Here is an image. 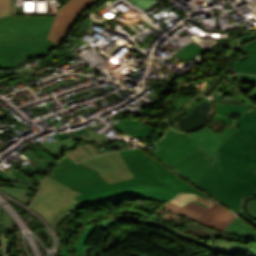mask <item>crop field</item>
<instances>
[{
  "instance_id": "obj_24",
  "label": "crop field",
  "mask_w": 256,
  "mask_h": 256,
  "mask_svg": "<svg viewBox=\"0 0 256 256\" xmlns=\"http://www.w3.org/2000/svg\"><path fill=\"white\" fill-rule=\"evenodd\" d=\"M66 154L68 156H70L76 162L83 158L91 156L81 145L78 146V148H76L70 152H66Z\"/></svg>"
},
{
  "instance_id": "obj_14",
  "label": "crop field",
  "mask_w": 256,
  "mask_h": 256,
  "mask_svg": "<svg viewBox=\"0 0 256 256\" xmlns=\"http://www.w3.org/2000/svg\"><path fill=\"white\" fill-rule=\"evenodd\" d=\"M237 130L226 128L220 136L217 133L204 129L200 132L188 135L204 152L213 157L215 151L221 147Z\"/></svg>"
},
{
  "instance_id": "obj_7",
  "label": "crop field",
  "mask_w": 256,
  "mask_h": 256,
  "mask_svg": "<svg viewBox=\"0 0 256 256\" xmlns=\"http://www.w3.org/2000/svg\"><path fill=\"white\" fill-rule=\"evenodd\" d=\"M79 164L100 174L108 184L134 178L119 151L107 152L81 161Z\"/></svg>"
},
{
  "instance_id": "obj_21",
  "label": "crop field",
  "mask_w": 256,
  "mask_h": 256,
  "mask_svg": "<svg viewBox=\"0 0 256 256\" xmlns=\"http://www.w3.org/2000/svg\"><path fill=\"white\" fill-rule=\"evenodd\" d=\"M85 225L82 222H78L76 225L72 227L68 235L66 236L62 248V256H70V245H71V240L73 239L75 233L81 229Z\"/></svg>"
},
{
  "instance_id": "obj_8",
  "label": "crop field",
  "mask_w": 256,
  "mask_h": 256,
  "mask_svg": "<svg viewBox=\"0 0 256 256\" xmlns=\"http://www.w3.org/2000/svg\"><path fill=\"white\" fill-rule=\"evenodd\" d=\"M100 0H70L62 6L53 21L47 38L59 47L84 11Z\"/></svg>"
},
{
  "instance_id": "obj_15",
  "label": "crop field",
  "mask_w": 256,
  "mask_h": 256,
  "mask_svg": "<svg viewBox=\"0 0 256 256\" xmlns=\"http://www.w3.org/2000/svg\"><path fill=\"white\" fill-rule=\"evenodd\" d=\"M135 177L143 176L159 180L149 160L138 148L120 151Z\"/></svg>"
},
{
  "instance_id": "obj_6",
  "label": "crop field",
  "mask_w": 256,
  "mask_h": 256,
  "mask_svg": "<svg viewBox=\"0 0 256 256\" xmlns=\"http://www.w3.org/2000/svg\"><path fill=\"white\" fill-rule=\"evenodd\" d=\"M238 130L218 151L256 163V112L237 122Z\"/></svg>"
},
{
  "instance_id": "obj_35",
  "label": "crop field",
  "mask_w": 256,
  "mask_h": 256,
  "mask_svg": "<svg viewBox=\"0 0 256 256\" xmlns=\"http://www.w3.org/2000/svg\"><path fill=\"white\" fill-rule=\"evenodd\" d=\"M88 132L89 134H95V132L93 131V129L89 130V131H86Z\"/></svg>"
},
{
  "instance_id": "obj_9",
  "label": "crop field",
  "mask_w": 256,
  "mask_h": 256,
  "mask_svg": "<svg viewBox=\"0 0 256 256\" xmlns=\"http://www.w3.org/2000/svg\"><path fill=\"white\" fill-rule=\"evenodd\" d=\"M55 48L58 46L47 38L26 46L0 42V68L12 69L20 65L27 57L43 56Z\"/></svg>"
},
{
  "instance_id": "obj_25",
  "label": "crop field",
  "mask_w": 256,
  "mask_h": 256,
  "mask_svg": "<svg viewBox=\"0 0 256 256\" xmlns=\"http://www.w3.org/2000/svg\"><path fill=\"white\" fill-rule=\"evenodd\" d=\"M2 212V218H3V225H4V239H5V247H6V237L9 234L10 230L13 226V220L11 216H7L4 210Z\"/></svg>"
},
{
  "instance_id": "obj_18",
  "label": "crop field",
  "mask_w": 256,
  "mask_h": 256,
  "mask_svg": "<svg viewBox=\"0 0 256 256\" xmlns=\"http://www.w3.org/2000/svg\"><path fill=\"white\" fill-rule=\"evenodd\" d=\"M54 138H56L58 141L53 140L50 143L46 142L42 145L57 156L61 155L65 150L73 148L77 144L70 138H66L62 140H60L58 136H55Z\"/></svg>"
},
{
  "instance_id": "obj_23",
  "label": "crop field",
  "mask_w": 256,
  "mask_h": 256,
  "mask_svg": "<svg viewBox=\"0 0 256 256\" xmlns=\"http://www.w3.org/2000/svg\"><path fill=\"white\" fill-rule=\"evenodd\" d=\"M196 196H197L196 194H192V193H179L172 200H170V202L177 204L181 207H184Z\"/></svg>"
},
{
  "instance_id": "obj_22",
  "label": "crop field",
  "mask_w": 256,
  "mask_h": 256,
  "mask_svg": "<svg viewBox=\"0 0 256 256\" xmlns=\"http://www.w3.org/2000/svg\"><path fill=\"white\" fill-rule=\"evenodd\" d=\"M17 75L15 76H12V77H8V78H5V79H1L0 82L2 81H6V80H9L13 77H17L19 79V81L23 80V79H27V78H30L34 75H38L42 72H45L44 70H31L29 68H25V69H21V70H17V71H14Z\"/></svg>"
},
{
  "instance_id": "obj_17",
  "label": "crop field",
  "mask_w": 256,
  "mask_h": 256,
  "mask_svg": "<svg viewBox=\"0 0 256 256\" xmlns=\"http://www.w3.org/2000/svg\"><path fill=\"white\" fill-rule=\"evenodd\" d=\"M0 190L4 191L5 193L11 195L15 199L26 204L27 199L33 194L35 187L24 184V183L16 182V185L14 188L2 187Z\"/></svg>"
},
{
  "instance_id": "obj_20",
  "label": "crop field",
  "mask_w": 256,
  "mask_h": 256,
  "mask_svg": "<svg viewBox=\"0 0 256 256\" xmlns=\"http://www.w3.org/2000/svg\"><path fill=\"white\" fill-rule=\"evenodd\" d=\"M97 227L91 225L89 228H87L83 234L79 237L76 246H75V253L76 256H83V252L85 249V244L86 241L88 239V237L93 233V231L96 229Z\"/></svg>"
},
{
  "instance_id": "obj_30",
  "label": "crop field",
  "mask_w": 256,
  "mask_h": 256,
  "mask_svg": "<svg viewBox=\"0 0 256 256\" xmlns=\"http://www.w3.org/2000/svg\"><path fill=\"white\" fill-rule=\"evenodd\" d=\"M24 164V163H23ZM24 166L36 171L37 173H48L47 171H45L44 169H42L41 167H39L38 165H36L34 162H30L29 164H24ZM35 172V173H36Z\"/></svg>"
},
{
  "instance_id": "obj_33",
  "label": "crop field",
  "mask_w": 256,
  "mask_h": 256,
  "mask_svg": "<svg viewBox=\"0 0 256 256\" xmlns=\"http://www.w3.org/2000/svg\"><path fill=\"white\" fill-rule=\"evenodd\" d=\"M82 145L93 155L101 153V151L95 146L89 144L84 145L83 143Z\"/></svg>"
},
{
  "instance_id": "obj_31",
  "label": "crop field",
  "mask_w": 256,
  "mask_h": 256,
  "mask_svg": "<svg viewBox=\"0 0 256 256\" xmlns=\"http://www.w3.org/2000/svg\"><path fill=\"white\" fill-rule=\"evenodd\" d=\"M239 216H241L243 219H245L247 222H249L250 224H252L253 226L256 227V221L252 218H250L244 211L243 209L241 210V212L238 214Z\"/></svg>"
},
{
  "instance_id": "obj_19",
  "label": "crop field",
  "mask_w": 256,
  "mask_h": 256,
  "mask_svg": "<svg viewBox=\"0 0 256 256\" xmlns=\"http://www.w3.org/2000/svg\"><path fill=\"white\" fill-rule=\"evenodd\" d=\"M161 210L176 214L178 216L187 218L189 220L195 221L198 217L201 216V214H198L196 212L190 211L185 208H181L177 205H174L170 202H168L166 205H164Z\"/></svg>"
},
{
  "instance_id": "obj_32",
  "label": "crop field",
  "mask_w": 256,
  "mask_h": 256,
  "mask_svg": "<svg viewBox=\"0 0 256 256\" xmlns=\"http://www.w3.org/2000/svg\"><path fill=\"white\" fill-rule=\"evenodd\" d=\"M248 210L256 215V199L255 200H249L247 203Z\"/></svg>"
},
{
  "instance_id": "obj_11",
  "label": "crop field",
  "mask_w": 256,
  "mask_h": 256,
  "mask_svg": "<svg viewBox=\"0 0 256 256\" xmlns=\"http://www.w3.org/2000/svg\"><path fill=\"white\" fill-rule=\"evenodd\" d=\"M156 144L159 149L153 154L168 164L199 148L186 134L165 136Z\"/></svg>"
},
{
  "instance_id": "obj_4",
  "label": "crop field",
  "mask_w": 256,
  "mask_h": 256,
  "mask_svg": "<svg viewBox=\"0 0 256 256\" xmlns=\"http://www.w3.org/2000/svg\"><path fill=\"white\" fill-rule=\"evenodd\" d=\"M147 158L150 160L154 170L156 171L159 179V181H155L148 178L138 177L114 184L108 185L105 181L91 185L89 187L83 188L81 190H78L82 192L83 194L76 197L75 199H78L82 202H94L99 200H105L108 198H112L115 196H119L118 192L116 190H119L124 187L140 184V183H148V184H154L164 187L166 190L174 191V192H192L196 194H200L206 198V195L192 187L190 184L176 176L174 173L169 171L167 168H165L162 164H160L158 161L150 157L149 155L145 154ZM210 199V198H209Z\"/></svg>"
},
{
  "instance_id": "obj_28",
  "label": "crop field",
  "mask_w": 256,
  "mask_h": 256,
  "mask_svg": "<svg viewBox=\"0 0 256 256\" xmlns=\"http://www.w3.org/2000/svg\"><path fill=\"white\" fill-rule=\"evenodd\" d=\"M192 202L209 209L215 202L198 195Z\"/></svg>"
},
{
  "instance_id": "obj_1",
  "label": "crop field",
  "mask_w": 256,
  "mask_h": 256,
  "mask_svg": "<svg viewBox=\"0 0 256 256\" xmlns=\"http://www.w3.org/2000/svg\"><path fill=\"white\" fill-rule=\"evenodd\" d=\"M170 166L237 213L244 197L256 195L255 163L218 151L212 159L199 148Z\"/></svg>"
},
{
  "instance_id": "obj_27",
  "label": "crop field",
  "mask_w": 256,
  "mask_h": 256,
  "mask_svg": "<svg viewBox=\"0 0 256 256\" xmlns=\"http://www.w3.org/2000/svg\"><path fill=\"white\" fill-rule=\"evenodd\" d=\"M82 140H86L88 142H92V143H96V144L102 145L103 144V140L107 141L109 139L105 136V134H101V135H98V136L91 135L89 137L81 139L80 141H82ZM109 142H111V141H109Z\"/></svg>"
},
{
  "instance_id": "obj_3",
  "label": "crop field",
  "mask_w": 256,
  "mask_h": 256,
  "mask_svg": "<svg viewBox=\"0 0 256 256\" xmlns=\"http://www.w3.org/2000/svg\"><path fill=\"white\" fill-rule=\"evenodd\" d=\"M43 187L31 205L40 216H42L55 229L57 224L64 216L69 214L68 211H74L93 205H98L110 200L99 201L94 203H81L74 197L81 193L64 186V184L48 177L41 180Z\"/></svg>"
},
{
  "instance_id": "obj_10",
  "label": "crop field",
  "mask_w": 256,
  "mask_h": 256,
  "mask_svg": "<svg viewBox=\"0 0 256 256\" xmlns=\"http://www.w3.org/2000/svg\"><path fill=\"white\" fill-rule=\"evenodd\" d=\"M52 178L78 190L88 185L103 181L96 172L91 171L79 164H75L68 157L59 162V166L53 170Z\"/></svg>"
},
{
  "instance_id": "obj_29",
  "label": "crop field",
  "mask_w": 256,
  "mask_h": 256,
  "mask_svg": "<svg viewBox=\"0 0 256 256\" xmlns=\"http://www.w3.org/2000/svg\"><path fill=\"white\" fill-rule=\"evenodd\" d=\"M20 153H22V152H20ZM22 154L25 155L26 157H28L29 159H31L32 161H34L35 163H37L39 166H41L44 169H47V167L51 166V165L41 161L40 159L35 158L34 156H32L30 153H28L26 151Z\"/></svg>"
},
{
  "instance_id": "obj_36",
  "label": "crop field",
  "mask_w": 256,
  "mask_h": 256,
  "mask_svg": "<svg viewBox=\"0 0 256 256\" xmlns=\"http://www.w3.org/2000/svg\"><path fill=\"white\" fill-rule=\"evenodd\" d=\"M1 72V71H0Z\"/></svg>"
},
{
  "instance_id": "obj_34",
  "label": "crop field",
  "mask_w": 256,
  "mask_h": 256,
  "mask_svg": "<svg viewBox=\"0 0 256 256\" xmlns=\"http://www.w3.org/2000/svg\"><path fill=\"white\" fill-rule=\"evenodd\" d=\"M78 214H80V213H76L75 215L71 216V218L68 219V222H69V220H71L74 216H76V215H78ZM67 217H68V216L64 217L63 219H65V218H67ZM63 219H62V220H63ZM62 220H61L59 223H61ZM75 222L77 223L78 220L75 221ZM59 223H58V224H59ZM66 223H67V222H66ZM66 223L63 224L62 228H63V229H67V230H70V228L75 224V223H73L72 225L69 226V225H67ZM58 224H57V225H58ZM57 225H56V229H55V230H57Z\"/></svg>"
},
{
  "instance_id": "obj_12",
  "label": "crop field",
  "mask_w": 256,
  "mask_h": 256,
  "mask_svg": "<svg viewBox=\"0 0 256 256\" xmlns=\"http://www.w3.org/2000/svg\"><path fill=\"white\" fill-rule=\"evenodd\" d=\"M219 206L220 205L215 203L209 210H207L190 202L185 208L203 214L195 222L222 232L236 216L223 207L219 208Z\"/></svg>"
},
{
  "instance_id": "obj_13",
  "label": "crop field",
  "mask_w": 256,
  "mask_h": 256,
  "mask_svg": "<svg viewBox=\"0 0 256 256\" xmlns=\"http://www.w3.org/2000/svg\"><path fill=\"white\" fill-rule=\"evenodd\" d=\"M121 196L110 199L111 201H117L125 198H144L147 200H155L166 203L176 193L166 191L162 187L140 184L123 190L118 191Z\"/></svg>"
},
{
  "instance_id": "obj_26",
  "label": "crop field",
  "mask_w": 256,
  "mask_h": 256,
  "mask_svg": "<svg viewBox=\"0 0 256 256\" xmlns=\"http://www.w3.org/2000/svg\"><path fill=\"white\" fill-rule=\"evenodd\" d=\"M11 15V0H0V18Z\"/></svg>"
},
{
  "instance_id": "obj_5",
  "label": "crop field",
  "mask_w": 256,
  "mask_h": 256,
  "mask_svg": "<svg viewBox=\"0 0 256 256\" xmlns=\"http://www.w3.org/2000/svg\"><path fill=\"white\" fill-rule=\"evenodd\" d=\"M54 17L10 16L0 19V41L26 45L43 39L47 36Z\"/></svg>"
},
{
  "instance_id": "obj_16",
  "label": "crop field",
  "mask_w": 256,
  "mask_h": 256,
  "mask_svg": "<svg viewBox=\"0 0 256 256\" xmlns=\"http://www.w3.org/2000/svg\"><path fill=\"white\" fill-rule=\"evenodd\" d=\"M237 48L247 50L249 56L244 60L233 62V68L236 72L256 74V40Z\"/></svg>"
},
{
  "instance_id": "obj_2",
  "label": "crop field",
  "mask_w": 256,
  "mask_h": 256,
  "mask_svg": "<svg viewBox=\"0 0 256 256\" xmlns=\"http://www.w3.org/2000/svg\"><path fill=\"white\" fill-rule=\"evenodd\" d=\"M121 219L135 220L157 229L160 228L210 250L234 253L242 256H256V231L238 218L223 233L195 222L186 225L180 230H175L150 219L124 214L101 219L95 225L106 231L114 222Z\"/></svg>"
}]
</instances>
